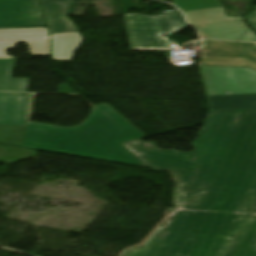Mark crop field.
Returning a JSON list of instances; mask_svg holds the SVG:
<instances>
[{
    "instance_id": "obj_1",
    "label": "crop field",
    "mask_w": 256,
    "mask_h": 256,
    "mask_svg": "<svg viewBox=\"0 0 256 256\" xmlns=\"http://www.w3.org/2000/svg\"><path fill=\"white\" fill-rule=\"evenodd\" d=\"M195 153L161 151L141 139L123 143L155 171L169 169L179 183L178 209L143 246L124 256H223L251 212L256 214V110L210 111ZM145 164V165H146ZM225 256H256V216Z\"/></svg>"
},
{
    "instance_id": "obj_2",
    "label": "crop field",
    "mask_w": 256,
    "mask_h": 256,
    "mask_svg": "<svg viewBox=\"0 0 256 256\" xmlns=\"http://www.w3.org/2000/svg\"><path fill=\"white\" fill-rule=\"evenodd\" d=\"M144 138L107 104L92 108L80 126L62 128L28 121L23 147L146 167L122 142Z\"/></svg>"
},
{
    "instance_id": "obj_3",
    "label": "crop field",
    "mask_w": 256,
    "mask_h": 256,
    "mask_svg": "<svg viewBox=\"0 0 256 256\" xmlns=\"http://www.w3.org/2000/svg\"><path fill=\"white\" fill-rule=\"evenodd\" d=\"M19 42L29 44L32 56H50L46 28L0 29V91H27L29 79L11 78L15 58L7 56V50Z\"/></svg>"
},
{
    "instance_id": "obj_4",
    "label": "crop field",
    "mask_w": 256,
    "mask_h": 256,
    "mask_svg": "<svg viewBox=\"0 0 256 256\" xmlns=\"http://www.w3.org/2000/svg\"><path fill=\"white\" fill-rule=\"evenodd\" d=\"M125 19L132 50H171L166 36L187 27L181 13L158 17L134 14Z\"/></svg>"
},
{
    "instance_id": "obj_5",
    "label": "crop field",
    "mask_w": 256,
    "mask_h": 256,
    "mask_svg": "<svg viewBox=\"0 0 256 256\" xmlns=\"http://www.w3.org/2000/svg\"><path fill=\"white\" fill-rule=\"evenodd\" d=\"M30 94L0 93V144L22 147Z\"/></svg>"
},
{
    "instance_id": "obj_6",
    "label": "crop field",
    "mask_w": 256,
    "mask_h": 256,
    "mask_svg": "<svg viewBox=\"0 0 256 256\" xmlns=\"http://www.w3.org/2000/svg\"><path fill=\"white\" fill-rule=\"evenodd\" d=\"M210 95L256 93V71L240 67L202 66Z\"/></svg>"
},
{
    "instance_id": "obj_7",
    "label": "crop field",
    "mask_w": 256,
    "mask_h": 256,
    "mask_svg": "<svg viewBox=\"0 0 256 256\" xmlns=\"http://www.w3.org/2000/svg\"><path fill=\"white\" fill-rule=\"evenodd\" d=\"M189 23L198 28L202 38L239 40L249 29L242 18L225 16L223 9L185 13Z\"/></svg>"
},
{
    "instance_id": "obj_8",
    "label": "crop field",
    "mask_w": 256,
    "mask_h": 256,
    "mask_svg": "<svg viewBox=\"0 0 256 256\" xmlns=\"http://www.w3.org/2000/svg\"><path fill=\"white\" fill-rule=\"evenodd\" d=\"M46 27L38 0H0V28Z\"/></svg>"
},
{
    "instance_id": "obj_9",
    "label": "crop field",
    "mask_w": 256,
    "mask_h": 256,
    "mask_svg": "<svg viewBox=\"0 0 256 256\" xmlns=\"http://www.w3.org/2000/svg\"><path fill=\"white\" fill-rule=\"evenodd\" d=\"M51 33L80 31L67 15L74 2L41 4Z\"/></svg>"
},
{
    "instance_id": "obj_10",
    "label": "crop field",
    "mask_w": 256,
    "mask_h": 256,
    "mask_svg": "<svg viewBox=\"0 0 256 256\" xmlns=\"http://www.w3.org/2000/svg\"><path fill=\"white\" fill-rule=\"evenodd\" d=\"M82 43L79 32L52 34L53 60L74 61Z\"/></svg>"
},
{
    "instance_id": "obj_11",
    "label": "crop field",
    "mask_w": 256,
    "mask_h": 256,
    "mask_svg": "<svg viewBox=\"0 0 256 256\" xmlns=\"http://www.w3.org/2000/svg\"><path fill=\"white\" fill-rule=\"evenodd\" d=\"M211 110L255 109L256 94L209 96Z\"/></svg>"
},
{
    "instance_id": "obj_12",
    "label": "crop field",
    "mask_w": 256,
    "mask_h": 256,
    "mask_svg": "<svg viewBox=\"0 0 256 256\" xmlns=\"http://www.w3.org/2000/svg\"><path fill=\"white\" fill-rule=\"evenodd\" d=\"M206 54L212 56L242 57L240 43L204 41Z\"/></svg>"
},
{
    "instance_id": "obj_13",
    "label": "crop field",
    "mask_w": 256,
    "mask_h": 256,
    "mask_svg": "<svg viewBox=\"0 0 256 256\" xmlns=\"http://www.w3.org/2000/svg\"><path fill=\"white\" fill-rule=\"evenodd\" d=\"M184 12L222 7L219 0H173Z\"/></svg>"
},
{
    "instance_id": "obj_14",
    "label": "crop field",
    "mask_w": 256,
    "mask_h": 256,
    "mask_svg": "<svg viewBox=\"0 0 256 256\" xmlns=\"http://www.w3.org/2000/svg\"><path fill=\"white\" fill-rule=\"evenodd\" d=\"M243 56L256 62V44L241 43Z\"/></svg>"
},
{
    "instance_id": "obj_15",
    "label": "crop field",
    "mask_w": 256,
    "mask_h": 256,
    "mask_svg": "<svg viewBox=\"0 0 256 256\" xmlns=\"http://www.w3.org/2000/svg\"><path fill=\"white\" fill-rule=\"evenodd\" d=\"M58 93L78 94L71 87H69L67 84H60L59 89H58Z\"/></svg>"
},
{
    "instance_id": "obj_16",
    "label": "crop field",
    "mask_w": 256,
    "mask_h": 256,
    "mask_svg": "<svg viewBox=\"0 0 256 256\" xmlns=\"http://www.w3.org/2000/svg\"><path fill=\"white\" fill-rule=\"evenodd\" d=\"M240 40L256 41V34L253 31L246 32Z\"/></svg>"
},
{
    "instance_id": "obj_17",
    "label": "crop field",
    "mask_w": 256,
    "mask_h": 256,
    "mask_svg": "<svg viewBox=\"0 0 256 256\" xmlns=\"http://www.w3.org/2000/svg\"><path fill=\"white\" fill-rule=\"evenodd\" d=\"M247 20L250 22V25L256 29V9L253 13L247 15Z\"/></svg>"
},
{
    "instance_id": "obj_18",
    "label": "crop field",
    "mask_w": 256,
    "mask_h": 256,
    "mask_svg": "<svg viewBox=\"0 0 256 256\" xmlns=\"http://www.w3.org/2000/svg\"><path fill=\"white\" fill-rule=\"evenodd\" d=\"M66 1H75V0H40L41 3H49V2H66Z\"/></svg>"
}]
</instances>
